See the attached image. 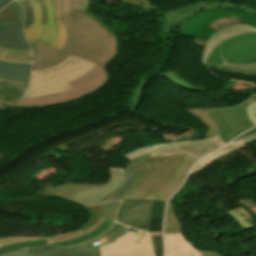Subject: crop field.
Here are the masks:
<instances>
[{
	"mask_svg": "<svg viewBox=\"0 0 256 256\" xmlns=\"http://www.w3.org/2000/svg\"><path fill=\"white\" fill-rule=\"evenodd\" d=\"M57 23L63 21L67 40L61 52L38 41L30 43L35 60L32 70L54 67L70 55L98 64L83 77L69 83L72 90L44 96L20 99L12 107H38L68 102L89 94L108 81L105 65L118 53L113 31L88 12L90 0H57Z\"/></svg>",
	"mask_w": 256,
	"mask_h": 256,
	"instance_id": "obj_1",
	"label": "crop field"
},
{
	"mask_svg": "<svg viewBox=\"0 0 256 256\" xmlns=\"http://www.w3.org/2000/svg\"><path fill=\"white\" fill-rule=\"evenodd\" d=\"M184 155L142 160L134 168L132 185L115 200L142 199L160 189L180 165Z\"/></svg>",
	"mask_w": 256,
	"mask_h": 256,
	"instance_id": "obj_2",
	"label": "crop field"
},
{
	"mask_svg": "<svg viewBox=\"0 0 256 256\" xmlns=\"http://www.w3.org/2000/svg\"><path fill=\"white\" fill-rule=\"evenodd\" d=\"M219 129V136L228 141L256 125V103L231 108H209L206 114Z\"/></svg>",
	"mask_w": 256,
	"mask_h": 256,
	"instance_id": "obj_3",
	"label": "crop field"
},
{
	"mask_svg": "<svg viewBox=\"0 0 256 256\" xmlns=\"http://www.w3.org/2000/svg\"><path fill=\"white\" fill-rule=\"evenodd\" d=\"M29 2L34 8V24L24 29L29 43L35 40H39L61 51L66 40V30L63 22L56 24V1L44 0L47 5V24H41V11L37 1L31 0Z\"/></svg>",
	"mask_w": 256,
	"mask_h": 256,
	"instance_id": "obj_4",
	"label": "crop field"
},
{
	"mask_svg": "<svg viewBox=\"0 0 256 256\" xmlns=\"http://www.w3.org/2000/svg\"><path fill=\"white\" fill-rule=\"evenodd\" d=\"M224 63H256V33L239 35L217 45L208 64L215 68Z\"/></svg>",
	"mask_w": 256,
	"mask_h": 256,
	"instance_id": "obj_5",
	"label": "crop field"
},
{
	"mask_svg": "<svg viewBox=\"0 0 256 256\" xmlns=\"http://www.w3.org/2000/svg\"><path fill=\"white\" fill-rule=\"evenodd\" d=\"M95 66L96 64L79 58L76 63L61 72L31 77L30 87L23 97L44 96L68 90L70 89L68 82L81 77Z\"/></svg>",
	"mask_w": 256,
	"mask_h": 256,
	"instance_id": "obj_6",
	"label": "crop field"
},
{
	"mask_svg": "<svg viewBox=\"0 0 256 256\" xmlns=\"http://www.w3.org/2000/svg\"><path fill=\"white\" fill-rule=\"evenodd\" d=\"M152 200L123 201L116 221L144 231H149Z\"/></svg>",
	"mask_w": 256,
	"mask_h": 256,
	"instance_id": "obj_7",
	"label": "crop field"
},
{
	"mask_svg": "<svg viewBox=\"0 0 256 256\" xmlns=\"http://www.w3.org/2000/svg\"><path fill=\"white\" fill-rule=\"evenodd\" d=\"M111 176L110 180L105 185L94 187L80 191L74 195L73 202L83 205H95L108 195L116 190L124 182L125 168L109 167ZM97 200V201H95Z\"/></svg>",
	"mask_w": 256,
	"mask_h": 256,
	"instance_id": "obj_8",
	"label": "crop field"
},
{
	"mask_svg": "<svg viewBox=\"0 0 256 256\" xmlns=\"http://www.w3.org/2000/svg\"><path fill=\"white\" fill-rule=\"evenodd\" d=\"M222 145H224L223 142L220 140L219 137H216L210 140L196 142V143L163 147L151 153L150 157L162 156V155L186 154L197 160L200 157L216 150Z\"/></svg>",
	"mask_w": 256,
	"mask_h": 256,
	"instance_id": "obj_9",
	"label": "crop field"
},
{
	"mask_svg": "<svg viewBox=\"0 0 256 256\" xmlns=\"http://www.w3.org/2000/svg\"><path fill=\"white\" fill-rule=\"evenodd\" d=\"M231 6L242 7L244 9L250 10L253 13H256L255 9L251 8L246 4L240 6L238 4L225 3V2H200V3L178 8L177 11H170V10L167 11L168 22L166 24L167 28L165 30L167 34L171 33L170 27L172 24H176L180 19L185 20L193 16V14L199 11H206V10L225 8V7H231Z\"/></svg>",
	"mask_w": 256,
	"mask_h": 256,
	"instance_id": "obj_10",
	"label": "crop field"
},
{
	"mask_svg": "<svg viewBox=\"0 0 256 256\" xmlns=\"http://www.w3.org/2000/svg\"><path fill=\"white\" fill-rule=\"evenodd\" d=\"M249 32H256V28L251 27L246 24H237V25L227 26L221 30H218V31H215L214 33H212L209 40L207 39L208 41L205 44L203 52H202V57H201L202 65L211 69L207 65V58L218 43H220L228 38L237 36L239 34L249 33Z\"/></svg>",
	"mask_w": 256,
	"mask_h": 256,
	"instance_id": "obj_11",
	"label": "crop field"
},
{
	"mask_svg": "<svg viewBox=\"0 0 256 256\" xmlns=\"http://www.w3.org/2000/svg\"><path fill=\"white\" fill-rule=\"evenodd\" d=\"M28 249L34 256H100L99 246L84 247H49L40 246Z\"/></svg>",
	"mask_w": 256,
	"mask_h": 256,
	"instance_id": "obj_12",
	"label": "crop field"
},
{
	"mask_svg": "<svg viewBox=\"0 0 256 256\" xmlns=\"http://www.w3.org/2000/svg\"><path fill=\"white\" fill-rule=\"evenodd\" d=\"M194 159L185 156L179 168L176 172L171 176L170 180L157 192L151 194L150 196L144 199H154V200H162L166 201L168 196L180 185L183 180L187 170L194 163Z\"/></svg>",
	"mask_w": 256,
	"mask_h": 256,
	"instance_id": "obj_13",
	"label": "crop field"
},
{
	"mask_svg": "<svg viewBox=\"0 0 256 256\" xmlns=\"http://www.w3.org/2000/svg\"><path fill=\"white\" fill-rule=\"evenodd\" d=\"M166 256H201L184 239L182 233L165 234Z\"/></svg>",
	"mask_w": 256,
	"mask_h": 256,
	"instance_id": "obj_14",
	"label": "crop field"
},
{
	"mask_svg": "<svg viewBox=\"0 0 256 256\" xmlns=\"http://www.w3.org/2000/svg\"><path fill=\"white\" fill-rule=\"evenodd\" d=\"M0 46L19 49H31L24 38L22 24L0 26Z\"/></svg>",
	"mask_w": 256,
	"mask_h": 256,
	"instance_id": "obj_15",
	"label": "crop field"
},
{
	"mask_svg": "<svg viewBox=\"0 0 256 256\" xmlns=\"http://www.w3.org/2000/svg\"><path fill=\"white\" fill-rule=\"evenodd\" d=\"M113 224H114L113 222H110V221L106 220L97 229L89 232L88 234H86V235H84V236H82L80 238H77V239H74V240H71V241H67V242H63V243H59V244H53V245L69 246V245H73V244H78V243L89 241V240L93 239L94 237H96V236L100 235L101 233H103L106 229H108ZM37 245H47V243H46L45 240H42V241H35V242L16 244V245H12V246L1 248L0 249V253L7 252V251H10V250L16 249V248L29 247V246H37Z\"/></svg>",
	"mask_w": 256,
	"mask_h": 256,
	"instance_id": "obj_16",
	"label": "crop field"
},
{
	"mask_svg": "<svg viewBox=\"0 0 256 256\" xmlns=\"http://www.w3.org/2000/svg\"><path fill=\"white\" fill-rule=\"evenodd\" d=\"M120 202H112V203H104L99 204L92 207H85V209L90 214V220L87 221L80 228L82 231L90 228L93 224H95L99 219L104 218L110 221H114L116 210L118 208Z\"/></svg>",
	"mask_w": 256,
	"mask_h": 256,
	"instance_id": "obj_17",
	"label": "crop field"
},
{
	"mask_svg": "<svg viewBox=\"0 0 256 256\" xmlns=\"http://www.w3.org/2000/svg\"><path fill=\"white\" fill-rule=\"evenodd\" d=\"M105 220L101 219L99 220L95 225H93L90 229L82 232L81 229H77L73 232L67 233V234H62L54 237H48V238H10V239H0V242L2 243L3 246H8L16 243H21V242H27V241H35V240H42L46 239L48 244H53V243H58L70 239H74L77 237H80L89 231L93 230L94 228L98 227L101 223H103Z\"/></svg>",
	"mask_w": 256,
	"mask_h": 256,
	"instance_id": "obj_18",
	"label": "crop field"
},
{
	"mask_svg": "<svg viewBox=\"0 0 256 256\" xmlns=\"http://www.w3.org/2000/svg\"><path fill=\"white\" fill-rule=\"evenodd\" d=\"M101 256H153L149 234L142 232L139 239L130 247Z\"/></svg>",
	"mask_w": 256,
	"mask_h": 256,
	"instance_id": "obj_19",
	"label": "crop field"
},
{
	"mask_svg": "<svg viewBox=\"0 0 256 256\" xmlns=\"http://www.w3.org/2000/svg\"><path fill=\"white\" fill-rule=\"evenodd\" d=\"M31 65L0 62V78L28 82Z\"/></svg>",
	"mask_w": 256,
	"mask_h": 256,
	"instance_id": "obj_20",
	"label": "crop field"
},
{
	"mask_svg": "<svg viewBox=\"0 0 256 256\" xmlns=\"http://www.w3.org/2000/svg\"><path fill=\"white\" fill-rule=\"evenodd\" d=\"M94 186H97V185L96 184H73L72 182H68L64 185H61V186L56 185L45 191H41L40 195L50 196V197L60 195L59 197L72 201V197L76 192L83 190L85 188L94 187Z\"/></svg>",
	"mask_w": 256,
	"mask_h": 256,
	"instance_id": "obj_21",
	"label": "crop field"
},
{
	"mask_svg": "<svg viewBox=\"0 0 256 256\" xmlns=\"http://www.w3.org/2000/svg\"><path fill=\"white\" fill-rule=\"evenodd\" d=\"M243 145H245V144L242 142V140H240V141H237V142H235V143H233V144H231V145H229V146H227V147H225V148H223V149H221V150H219V151H217V152H215V153L205 157L204 159H202L200 162H198L192 168L189 176L194 174L195 172L203 169L204 167L209 165L211 162L217 160L218 158L224 156L225 154H227V153H229V152H231V151H233V150H235V149H237V148H239V147H241Z\"/></svg>",
	"mask_w": 256,
	"mask_h": 256,
	"instance_id": "obj_22",
	"label": "crop field"
},
{
	"mask_svg": "<svg viewBox=\"0 0 256 256\" xmlns=\"http://www.w3.org/2000/svg\"><path fill=\"white\" fill-rule=\"evenodd\" d=\"M140 233H141L140 230L138 231L137 234L128 231L118 241H116L112 244H109V245L100 246L101 254L119 251V250L131 245L132 243H134L138 239Z\"/></svg>",
	"mask_w": 256,
	"mask_h": 256,
	"instance_id": "obj_23",
	"label": "crop field"
},
{
	"mask_svg": "<svg viewBox=\"0 0 256 256\" xmlns=\"http://www.w3.org/2000/svg\"><path fill=\"white\" fill-rule=\"evenodd\" d=\"M164 204L162 201H153L152 217L149 232L161 231L163 216H164Z\"/></svg>",
	"mask_w": 256,
	"mask_h": 256,
	"instance_id": "obj_24",
	"label": "crop field"
},
{
	"mask_svg": "<svg viewBox=\"0 0 256 256\" xmlns=\"http://www.w3.org/2000/svg\"><path fill=\"white\" fill-rule=\"evenodd\" d=\"M234 217L244 230L252 228L255 224L254 218L244 209L239 207L233 210L227 211ZM228 213V214H229Z\"/></svg>",
	"mask_w": 256,
	"mask_h": 256,
	"instance_id": "obj_25",
	"label": "crop field"
},
{
	"mask_svg": "<svg viewBox=\"0 0 256 256\" xmlns=\"http://www.w3.org/2000/svg\"><path fill=\"white\" fill-rule=\"evenodd\" d=\"M208 139H210V138H208ZM202 140H206V139H202ZM199 141H201V140H199ZM190 142H196V141H179V142H173V143H164V144H157V145L142 147V148L135 149L126 155H123V157H126L127 159H129L131 161L132 159H135L139 156L149 154L150 152H152L162 146L178 145V144H184V143H190Z\"/></svg>",
	"mask_w": 256,
	"mask_h": 256,
	"instance_id": "obj_26",
	"label": "crop field"
},
{
	"mask_svg": "<svg viewBox=\"0 0 256 256\" xmlns=\"http://www.w3.org/2000/svg\"><path fill=\"white\" fill-rule=\"evenodd\" d=\"M172 232H181V226L172 210V203L169 202L166 211L164 233Z\"/></svg>",
	"mask_w": 256,
	"mask_h": 256,
	"instance_id": "obj_27",
	"label": "crop field"
},
{
	"mask_svg": "<svg viewBox=\"0 0 256 256\" xmlns=\"http://www.w3.org/2000/svg\"><path fill=\"white\" fill-rule=\"evenodd\" d=\"M208 109V108H207ZM207 109H188L190 113L194 114L196 117H198L208 128V132L203 134L208 137H212L216 134H218V130L214 123L204 114L207 112Z\"/></svg>",
	"mask_w": 256,
	"mask_h": 256,
	"instance_id": "obj_28",
	"label": "crop field"
},
{
	"mask_svg": "<svg viewBox=\"0 0 256 256\" xmlns=\"http://www.w3.org/2000/svg\"><path fill=\"white\" fill-rule=\"evenodd\" d=\"M159 76H162L168 80H170L171 82H173L175 85L181 87V88H184L186 90H190V91H193V92H197V93H201V92H206V91H209V90H201V89H197L189 84H187L183 78L179 77V75L177 73H175V71H168L167 73L165 74H157ZM161 77V78H162Z\"/></svg>",
	"mask_w": 256,
	"mask_h": 256,
	"instance_id": "obj_29",
	"label": "crop field"
},
{
	"mask_svg": "<svg viewBox=\"0 0 256 256\" xmlns=\"http://www.w3.org/2000/svg\"><path fill=\"white\" fill-rule=\"evenodd\" d=\"M5 55L9 56H33L31 50H19V49H9L0 47V61L9 63H32V61H17L4 59Z\"/></svg>",
	"mask_w": 256,
	"mask_h": 256,
	"instance_id": "obj_30",
	"label": "crop field"
},
{
	"mask_svg": "<svg viewBox=\"0 0 256 256\" xmlns=\"http://www.w3.org/2000/svg\"><path fill=\"white\" fill-rule=\"evenodd\" d=\"M26 89L0 84V96L19 99Z\"/></svg>",
	"mask_w": 256,
	"mask_h": 256,
	"instance_id": "obj_31",
	"label": "crop field"
},
{
	"mask_svg": "<svg viewBox=\"0 0 256 256\" xmlns=\"http://www.w3.org/2000/svg\"><path fill=\"white\" fill-rule=\"evenodd\" d=\"M78 58L76 57H69L65 62L61 63L57 67L48 69V70H42V71H32V76H38V75H46V74H52L55 72H58L70 65H72L75 61H77Z\"/></svg>",
	"mask_w": 256,
	"mask_h": 256,
	"instance_id": "obj_32",
	"label": "crop field"
},
{
	"mask_svg": "<svg viewBox=\"0 0 256 256\" xmlns=\"http://www.w3.org/2000/svg\"><path fill=\"white\" fill-rule=\"evenodd\" d=\"M17 1L24 9V13H25L24 27H26L33 23V8L27 0H17Z\"/></svg>",
	"mask_w": 256,
	"mask_h": 256,
	"instance_id": "obj_33",
	"label": "crop field"
},
{
	"mask_svg": "<svg viewBox=\"0 0 256 256\" xmlns=\"http://www.w3.org/2000/svg\"><path fill=\"white\" fill-rule=\"evenodd\" d=\"M10 5H11L12 9L14 10L15 20L0 21V25H10V24L22 23L23 13H22L20 6L16 2V0L14 2H12Z\"/></svg>",
	"mask_w": 256,
	"mask_h": 256,
	"instance_id": "obj_34",
	"label": "crop field"
},
{
	"mask_svg": "<svg viewBox=\"0 0 256 256\" xmlns=\"http://www.w3.org/2000/svg\"><path fill=\"white\" fill-rule=\"evenodd\" d=\"M153 242L155 256H163V243L161 232L149 233Z\"/></svg>",
	"mask_w": 256,
	"mask_h": 256,
	"instance_id": "obj_35",
	"label": "crop field"
},
{
	"mask_svg": "<svg viewBox=\"0 0 256 256\" xmlns=\"http://www.w3.org/2000/svg\"><path fill=\"white\" fill-rule=\"evenodd\" d=\"M145 82L144 80H141L140 83L134 88L133 93H132V97L131 99L134 102V107L133 109L136 110L137 106L139 104V97H140V93L143 89V87L145 86Z\"/></svg>",
	"mask_w": 256,
	"mask_h": 256,
	"instance_id": "obj_36",
	"label": "crop field"
},
{
	"mask_svg": "<svg viewBox=\"0 0 256 256\" xmlns=\"http://www.w3.org/2000/svg\"><path fill=\"white\" fill-rule=\"evenodd\" d=\"M128 229H129V227L124 226L120 230H118L115 234H113L111 237L106 239L105 241L100 242V243L95 244V245H104V244L111 243V242L119 239L120 237H122L128 231Z\"/></svg>",
	"mask_w": 256,
	"mask_h": 256,
	"instance_id": "obj_37",
	"label": "crop field"
},
{
	"mask_svg": "<svg viewBox=\"0 0 256 256\" xmlns=\"http://www.w3.org/2000/svg\"><path fill=\"white\" fill-rule=\"evenodd\" d=\"M119 1L123 2V4L138 5V6H142V2H145L147 6L142 10L145 11L146 13L154 11V9L146 0H119Z\"/></svg>",
	"mask_w": 256,
	"mask_h": 256,
	"instance_id": "obj_38",
	"label": "crop field"
},
{
	"mask_svg": "<svg viewBox=\"0 0 256 256\" xmlns=\"http://www.w3.org/2000/svg\"><path fill=\"white\" fill-rule=\"evenodd\" d=\"M147 158H149V157H147ZM143 159H146V158H143ZM140 160H142V159H139L138 161H140ZM138 161H137V162H138ZM137 162L133 163V165H132L131 168H130V171H129V178H128V181H127L126 186H125L119 193H117V194L111 196L109 199H107V200L104 201V202L112 201L113 199H115L116 197H118L120 194H122V193L130 186V184H131V182H132V180H133V167H134V165H135Z\"/></svg>",
	"mask_w": 256,
	"mask_h": 256,
	"instance_id": "obj_39",
	"label": "crop field"
},
{
	"mask_svg": "<svg viewBox=\"0 0 256 256\" xmlns=\"http://www.w3.org/2000/svg\"><path fill=\"white\" fill-rule=\"evenodd\" d=\"M8 19H14V13L9 5L6 8H4L2 11H0V20H8Z\"/></svg>",
	"mask_w": 256,
	"mask_h": 256,
	"instance_id": "obj_40",
	"label": "crop field"
},
{
	"mask_svg": "<svg viewBox=\"0 0 256 256\" xmlns=\"http://www.w3.org/2000/svg\"><path fill=\"white\" fill-rule=\"evenodd\" d=\"M147 156H150V155H147ZM147 156H143V157H147ZM143 157H139V158H143ZM139 158H137V159L131 161L130 163H128V165H127V167H126L125 182H124V184H123L120 188H118L116 191H114L112 194H110V195H108L107 197H105L104 199H102L99 203H101L102 201L106 200V199L109 198L111 195L115 194L116 192L120 191V190L125 186L126 181H127V178H128V170H129L130 166L132 165V163H133L134 161L138 160Z\"/></svg>",
	"mask_w": 256,
	"mask_h": 256,
	"instance_id": "obj_41",
	"label": "crop field"
},
{
	"mask_svg": "<svg viewBox=\"0 0 256 256\" xmlns=\"http://www.w3.org/2000/svg\"><path fill=\"white\" fill-rule=\"evenodd\" d=\"M16 101L17 100H14V99H7V98L0 97V112L7 109L10 105H12Z\"/></svg>",
	"mask_w": 256,
	"mask_h": 256,
	"instance_id": "obj_42",
	"label": "crop field"
},
{
	"mask_svg": "<svg viewBox=\"0 0 256 256\" xmlns=\"http://www.w3.org/2000/svg\"><path fill=\"white\" fill-rule=\"evenodd\" d=\"M26 251L27 250L17 249V250H13L8 253L2 254L0 256H33V255L26 254Z\"/></svg>",
	"mask_w": 256,
	"mask_h": 256,
	"instance_id": "obj_43",
	"label": "crop field"
},
{
	"mask_svg": "<svg viewBox=\"0 0 256 256\" xmlns=\"http://www.w3.org/2000/svg\"><path fill=\"white\" fill-rule=\"evenodd\" d=\"M0 83H5V84H9V85L17 86V87H23V88H26L27 84H28L26 82L4 80V79H0Z\"/></svg>",
	"mask_w": 256,
	"mask_h": 256,
	"instance_id": "obj_44",
	"label": "crop field"
},
{
	"mask_svg": "<svg viewBox=\"0 0 256 256\" xmlns=\"http://www.w3.org/2000/svg\"><path fill=\"white\" fill-rule=\"evenodd\" d=\"M219 70H223V71H227V72H236V73H242V74H246V75H256V71H241V70H235V69H231V68H226V67H218Z\"/></svg>",
	"mask_w": 256,
	"mask_h": 256,
	"instance_id": "obj_45",
	"label": "crop field"
},
{
	"mask_svg": "<svg viewBox=\"0 0 256 256\" xmlns=\"http://www.w3.org/2000/svg\"><path fill=\"white\" fill-rule=\"evenodd\" d=\"M42 10V23H47L46 5L43 0H37Z\"/></svg>",
	"mask_w": 256,
	"mask_h": 256,
	"instance_id": "obj_46",
	"label": "crop field"
},
{
	"mask_svg": "<svg viewBox=\"0 0 256 256\" xmlns=\"http://www.w3.org/2000/svg\"><path fill=\"white\" fill-rule=\"evenodd\" d=\"M235 69H241V70H256V64L254 65H248V66H236V65H223Z\"/></svg>",
	"mask_w": 256,
	"mask_h": 256,
	"instance_id": "obj_47",
	"label": "crop field"
},
{
	"mask_svg": "<svg viewBox=\"0 0 256 256\" xmlns=\"http://www.w3.org/2000/svg\"><path fill=\"white\" fill-rule=\"evenodd\" d=\"M123 225L119 224L116 228H114L111 232H109L107 235H105L102 239L96 241V242H93V243H90L88 245H92V244H95L97 242H100L106 238H108L109 236H111L113 233H115L118 229H120Z\"/></svg>",
	"mask_w": 256,
	"mask_h": 256,
	"instance_id": "obj_48",
	"label": "crop field"
},
{
	"mask_svg": "<svg viewBox=\"0 0 256 256\" xmlns=\"http://www.w3.org/2000/svg\"><path fill=\"white\" fill-rule=\"evenodd\" d=\"M253 102H256V92L252 96H250L248 99H245L243 102L237 104L236 106L242 105V104H249Z\"/></svg>",
	"mask_w": 256,
	"mask_h": 256,
	"instance_id": "obj_49",
	"label": "crop field"
},
{
	"mask_svg": "<svg viewBox=\"0 0 256 256\" xmlns=\"http://www.w3.org/2000/svg\"><path fill=\"white\" fill-rule=\"evenodd\" d=\"M199 252L203 255V256H221L215 252H209V251H204V250H199Z\"/></svg>",
	"mask_w": 256,
	"mask_h": 256,
	"instance_id": "obj_50",
	"label": "crop field"
},
{
	"mask_svg": "<svg viewBox=\"0 0 256 256\" xmlns=\"http://www.w3.org/2000/svg\"><path fill=\"white\" fill-rule=\"evenodd\" d=\"M118 225V223H116L114 226H112V228L111 229H109V230H107L106 232H104L102 235H100L99 237H97V238H95V239H93V240H91V241H89L88 243H90V242H93V241H96V240H98V239H100V238H102L106 233H108L109 231H111L114 227H116ZM107 235V234H106Z\"/></svg>",
	"mask_w": 256,
	"mask_h": 256,
	"instance_id": "obj_51",
	"label": "crop field"
},
{
	"mask_svg": "<svg viewBox=\"0 0 256 256\" xmlns=\"http://www.w3.org/2000/svg\"><path fill=\"white\" fill-rule=\"evenodd\" d=\"M254 140H256V135H253V136H251V137H248V138L243 139V141H244V143H245L246 145H247L248 143L254 141Z\"/></svg>",
	"mask_w": 256,
	"mask_h": 256,
	"instance_id": "obj_52",
	"label": "crop field"
},
{
	"mask_svg": "<svg viewBox=\"0 0 256 256\" xmlns=\"http://www.w3.org/2000/svg\"><path fill=\"white\" fill-rule=\"evenodd\" d=\"M5 58L17 59V60H33V57H8V56H6Z\"/></svg>",
	"mask_w": 256,
	"mask_h": 256,
	"instance_id": "obj_53",
	"label": "crop field"
},
{
	"mask_svg": "<svg viewBox=\"0 0 256 256\" xmlns=\"http://www.w3.org/2000/svg\"><path fill=\"white\" fill-rule=\"evenodd\" d=\"M12 0H0V9L9 4Z\"/></svg>",
	"mask_w": 256,
	"mask_h": 256,
	"instance_id": "obj_54",
	"label": "crop field"
},
{
	"mask_svg": "<svg viewBox=\"0 0 256 256\" xmlns=\"http://www.w3.org/2000/svg\"><path fill=\"white\" fill-rule=\"evenodd\" d=\"M254 133H256V128H254V129H252V130H250L249 132H247L246 134H244L243 136H241L240 138H243V137H246V136H249V135H251V134H254ZM240 138H238V139H240ZM237 139V138H236ZM237 139V140H238ZM236 141V140H235Z\"/></svg>",
	"mask_w": 256,
	"mask_h": 256,
	"instance_id": "obj_55",
	"label": "crop field"
},
{
	"mask_svg": "<svg viewBox=\"0 0 256 256\" xmlns=\"http://www.w3.org/2000/svg\"><path fill=\"white\" fill-rule=\"evenodd\" d=\"M246 12H248V13H250V14H253V13H251V12H249V11H246ZM255 15V14H254Z\"/></svg>",
	"mask_w": 256,
	"mask_h": 256,
	"instance_id": "obj_56",
	"label": "crop field"
},
{
	"mask_svg": "<svg viewBox=\"0 0 256 256\" xmlns=\"http://www.w3.org/2000/svg\"><path fill=\"white\" fill-rule=\"evenodd\" d=\"M0 247H2V245L0 244Z\"/></svg>",
	"mask_w": 256,
	"mask_h": 256,
	"instance_id": "obj_57",
	"label": "crop field"
}]
</instances>
